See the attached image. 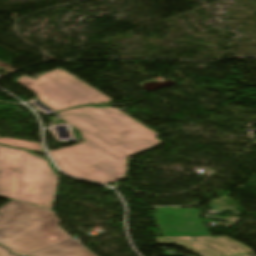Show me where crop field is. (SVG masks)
Returning a JSON list of instances; mask_svg holds the SVG:
<instances>
[{"instance_id": "9", "label": "crop field", "mask_w": 256, "mask_h": 256, "mask_svg": "<svg viewBox=\"0 0 256 256\" xmlns=\"http://www.w3.org/2000/svg\"><path fill=\"white\" fill-rule=\"evenodd\" d=\"M0 256H15V255H11L6 249L0 246Z\"/></svg>"}, {"instance_id": "5", "label": "crop field", "mask_w": 256, "mask_h": 256, "mask_svg": "<svg viewBox=\"0 0 256 256\" xmlns=\"http://www.w3.org/2000/svg\"><path fill=\"white\" fill-rule=\"evenodd\" d=\"M200 214V211L192 209H158L155 220L164 236L209 235L199 220Z\"/></svg>"}, {"instance_id": "2", "label": "crop field", "mask_w": 256, "mask_h": 256, "mask_svg": "<svg viewBox=\"0 0 256 256\" xmlns=\"http://www.w3.org/2000/svg\"><path fill=\"white\" fill-rule=\"evenodd\" d=\"M59 223L54 212L12 200L0 207V244L24 256H95Z\"/></svg>"}, {"instance_id": "10", "label": "crop field", "mask_w": 256, "mask_h": 256, "mask_svg": "<svg viewBox=\"0 0 256 256\" xmlns=\"http://www.w3.org/2000/svg\"><path fill=\"white\" fill-rule=\"evenodd\" d=\"M244 256H249V255H244Z\"/></svg>"}, {"instance_id": "3", "label": "crop field", "mask_w": 256, "mask_h": 256, "mask_svg": "<svg viewBox=\"0 0 256 256\" xmlns=\"http://www.w3.org/2000/svg\"><path fill=\"white\" fill-rule=\"evenodd\" d=\"M27 152L0 146V196L45 208L57 177L47 161Z\"/></svg>"}, {"instance_id": "1", "label": "crop field", "mask_w": 256, "mask_h": 256, "mask_svg": "<svg viewBox=\"0 0 256 256\" xmlns=\"http://www.w3.org/2000/svg\"><path fill=\"white\" fill-rule=\"evenodd\" d=\"M61 119L82 132V142L49 151L65 173L108 184L125 177V158L160 141L156 134L115 108H82L58 113Z\"/></svg>"}, {"instance_id": "4", "label": "crop field", "mask_w": 256, "mask_h": 256, "mask_svg": "<svg viewBox=\"0 0 256 256\" xmlns=\"http://www.w3.org/2000/svg\"><path fill=\"white\" fill-rule=\"evenodd\" d=\"M16 82L36 92L39 101L57 112L83 104H105L112 101L62 69L45 73L35 80L22 76Z\"/></svg>"}, {"instance_id": "8", "label": "crop field", "mask_w": 256, "mask_h": 256, "mask_svg": "<svg viewBox=\"0 0 256 256\" xmlns=\"http://www.w3.org/2000/svg\"><path fill=\"white\" fill-rule=\"evenodd\" d=\"M0 143L7 144L13 147H21L25 148L27 150H33V151H41V145L38 143L28 142V141H22V140H16V139H9L2 137L0 138Z\"/></svg>"}, {"instance_id": "7", "label": "crop field", "mask_w": 256, "mask_h": 256, "mask_svg": "<svg viewBox=\"0 0 256 256\" xmlns=\"http://www.w3.org/2000/svg\"><path fill=\"white\" fill-rule=\"evenodd\" d=\"M166 238H169L171 241H163ZM157 243L178 244L187 250L202 256H220L217 252L195 242L192 237H160L157 238Z\"/></svg>"}, {"instance_id": "6", "label": "crop field", "mask_w": 256, "mask_h": 256, "mask_svg": "<svg viewBox=\"0 0 256 256\" xmlns=\"http://www.w3.org/2000/svg\"><path fill=\"white\" fill-rule=\"evenodd\" d=\"M193 238L194 240L214 249L222 256H232V255L252 252L251 249L237 242H234L225 236H220L215 238L211 236H202V237H193ZM233 247H235L237 250L233 249Z\"/></svg>"}]
</instances>
